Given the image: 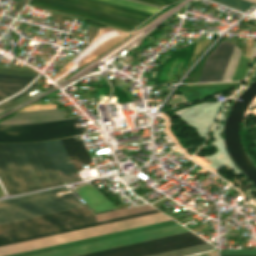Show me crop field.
Listing matches in <instances>:
<instances>
[{"label": "crop field", "mask_w": 256, "mask_h": 256, "mask_svg": "<svg viewBox=\"0 0 256 256\" xmlns=\"http://www.w3.org/2000/svg\"><path fill=\"white\" fill-rule=\"evenodd\" d=\"M209 256H215V252L209 253Z\"/></svg>", "instance_id": "34"}, {"label": "crop field", "mask_w": 256, "mask_h": 256, "mask_svg": "<svg viewBox=\"0 0 256 256\" xmlns=\"http://www.w3.org/2000/svg\"><path fill=\"white\" fill-rule=\"evenodd\" d=\"M149 210H154V208L152 206H150L149 204H146V205L136 206V207H132V208H127V209H122V210H117V211L97 215L96 218L98 221H100V220L125 216V215H129V214L149 211Z\"/></svg>", "instance_id": "19"}, {"label": "crop field", "mask_w": 256, "mask_h": 256, "mask_svg": "<svg viewBox=\"0 0 256 256\" xmlns=\"http://www.w3.org/2000/svg\"><path fill=\"white\" fill-rule=\"evenodd\" d=\"M27 0H21L18 5L15 7L14 11L19 12L23 5L26 3Z\"/></svg>", "instance_id": "31"}, {"label": "crop field", "mask_w": 256, "mask_h": 256, "mask_svg": "<svg viewBox=\"0 0 256 256\" xmlns=\"http://www.w3.org/2000/svg\"><path fill=\"white\" fill-rule=\"evenodd\" d=\"M107 1H111L114 3L130 6L133 8H137V9H141V10H145V11H149V12H153V13H155L159 10V8H155V7H151V6H147V5H143V4L127 1V0H107Z\"/></svg>", "instance_id": "22"}, {"label": "crop field", "mask_w": 256, "mask_h": 256, "mask_svg": "<svg viewBox=\"0 0 256 256\" xmlns=\"http://www.w3.org/2000/svg\"><path fill=\"white\" fill-rule=\"evenodd\" d=\"M201 243H205V241L197 236H194L190 238L180 239L176 241L166 242L162 244L152 245L148 247H143L106 256H145L149 254L159 253L163 251L173 250Z\"/></svg>", "instance_id": "10"}, {"label": "crop field", "mask_w": 256, "mask_h": 256, "mask_svg": "<svg viewBox=\"0 0 256 256\" xmlns=\"http://www.w3.org/2000/svg\"><path fill=\"white\" fill-rule=\"evenodd\" d=\"M170 220L161 212L0 247V256Z\"/></svg>", "instance_id": "3"}, {"label": "crop field", "mask_w": 256, "mask_h": 256, "mask_svg": "<svg viewBox=\"0 0 256 256\" xmlns=\"http://www.w3.org/2000/svg\"><path fill=\"white\" fill-rule=\"evenodd\" d=\"M256 254V250H220V255Z\"/></svg>", "instance_id": "24"}, {"label": "crop field", "mask_w": 256, "mask_h": 256, "mask_svg": "<svg viewBox=\"0 0 256 256\" xmlns=\"http://www.w3.org/2000/svg\"><path fill=\"white\" fill-rule=\"evenodd\" d=\"M183 232H188V230H186L183 226L176 224V225H171L167 227L157 228L153 230L124 235L120 237L91 242L87 244L77 245L73 247L63 248L59 250L44 252V253L30 255V256H74V255L98 251L102 249L160 238L164 236L179 234Z\"/></svg>", "instance_id": "6"}, {"label": "crop field", "mask_w": 256, "mask_h": 256, "mask_svg": "<svg viewBox=\"0 0 256 256\" xmlns=\"http://www.w3.org/2000/svg\"><path fill=\"white\" fill-rule=\"evenodd\" d=\"M189 236H194V234L191 232H188V233L164 237V238H160V239L145 241V242H141V243L126 245V246H122V247H117V248L102 250V251H98V252L83 254V255H79V256H100V255L110 254V253L124 251V250H128V249L138 248V247H142V246L171 241V240H175V239L185 238V237H189Z\"/></svg>", "instance_id": "17"}, {"label": "crop field", "mask_w": 256, "mask_h": 256, "mask_svg": "<svg viewBox=\"0 0 256 256\" xmlns=\"http://www.w3.org/2000/svg\"><path fill=\"white\" fill-rule=\"evenodd\" d=\"M154 212H158V211L154 210V211H149V212H145V213L130 215V216H126V217L111 219V220H107V221L92 223V224H88V225L73 227V228H69V229L59 230V231H55V232L40 234V235L31 236V237H27V238H22V239H18V240L8 241V242L0 243V246L12 244V243H17V242H21V241H26V240H30V239H35V238H39V237H44V236H48V235L58 234V233H62V232H67V231H71V230H76V229H80V228H85V227H89V226H94V225H98V224H103V223H107V222L126 219V218H130V217H135V216H140V215H144V214L154 213Z\"/></svg>", "instance_id": "18"}, {"label": "crop field", "mask_w": 256, "mask_h": 256, "mask_svg": "<svg viewBox=\"0 0 256 256\" xmlns=\"http://www.w3.org/2000/svg\"><path fill=\"white\" fill-rule=\"evenodd\" d=\"M240 53H241L240 49L235 45V48L233 50L232 56L230 58L228 67L226 69V72H225V75H224L222 81H230L231 80V77L233 75V72H234L235 66L237 64L238 58L240 56Z\"/></svg>", "instance_id": "21"}, {"label": "crop field", "mask_w": 256, "mask_h": 256, "mask_svg": "<svg viewBox=\"0 0 256 256\" xmlns=\"http://www.w3.org/2000/svg\"><path fill=\"white\" fill-rule=\"evenodd\" d=\"M210 249H214V247L208 243H205V244H201V245L191 246V247H187V248L168 251V252L159 253V254L150 255V256H183V255L206 251V250H210Z\"/></svg>", "instance_id": "20"}, {"label": "crop field", "mask_w": 256, "mask_h": 256, "mask_svg": "<svg viewBox=\"0 0 256 256\" xmlns=\"http://www.w3.org/2000/svg\"><path fill=\"white\" fill-rule=\"evenodd\" d=\"M234 45L221 41L207 56L197 82L221 81Z\"/></svg>", "instance_id": "7"}, {"label": "crop field", "mask_w": 256, "mask_h": 256, "mask_svg": "<svg viewBox=\"0 0 256 256\" xmlns=\"http://www.w3.org/2000/svg\"><path fill=\"white\" fill-rule=\"evenodd\" d=\"M4 196L3 192L0 189V197Z\"/></svg>", "instance_id": "35"}, {"label": "crop field", "mask_w": 256, "mask_h": 256, "mask_svg": "<svg viewBox=\"0 0 256 256\" xmlns=\"http://www.w3.org/2000/svg\"><path fill=\"white\" fill-rule=\"evenodd\" d=\"M211 1H214V2H217V3H220V4H223V5H225V6H228V7L234 8V9H237V10L242 11V12H245V11H246V9H243V8H240V7H237V6H234V5L225 3V2L220 1V0H211Z\"/></svg>", "instance_id": "30"}, {"label": "crop field", "mask_w": 256, "mask_h": 256, "mask_svg": "<svg viewBox=\"0 0 256 256\" xmlns=\"http://www.w3.org/2000/svg\"><path fill=\"white\" fill-rule=\"evenodd\" d=\"M171 224H176V222L173 221V220H170V221H166V222L156 223V224H152V225H147V226H143V227L133 228V229H129V230H124V231H120V232L110 233V234H106V235H101V236H97V237L87 238V239H83V240H78V241H74V242L64 243V244H60V245H55V246H51V247L41 248V249L32 250V251L23 252V253H18V254L9 255V256H26V255H30V254H35V253H40V252H44V251L54 250V249H58V248H63V247L77 245V244L87 243V242H91V241L106 239V238H110V237H115V236H120V235H124V234L134 233V232H138V231L153 229V228L167 226V225H171Z\"/></svg>", "instance_id": "11"}, {"label": "crop field", "mask_w": 256, "mask_h": 256, "mask_svg": "<svg viewBox=\"0 0 256 256\" xmlns=\"http://www.w3.org/2000/svg\"><path fill=\"white\" fill-rule=\"evenodd\" d=\"M0 167L14 194L62 184L42 142L0 144Z\"/></svg>", "instance_id": "1"}, {"label": "crop field", "mask_w": 256, "mask_h": 256, "mask_svg": "<svg viewBox=\"0 0 256 256\" xmlns=\"http://www.w3.org/2000/svg\"><path fill=\"white\" fill-rule=\"evenodd\" d=\"M33 78L0 74V100L18 92Z\"/></svg>", "instance_id": "14"}, {"label": "crop field", "mask_w": 256, "mask_h": 256, "mask_svg": "<svg viewBox=\"0 0 256 256\" xmlns=\"http://www.w3.org/2000/svg\"><path fill=\"white\" fill-rule=\"evenodd\" d=\"M94 1L102 2V3H106V4H110V5L126 8V9H130V10H134V11H138V12H142V13H146V14H150V15L153 14V13H149V12H145V11L129 8V7H126V6H122V5H118V4H114V3H110V2H106V1H102V0H94Z\"/></svg>", "instance_id": "28"}, {"label": "crop field", "mask_w": 256, "mask_h": 256, "mask_svg": "<svg viewBox=\"0 0 256 256\" xmlns=\"http://www.w3.org/2000/svg\"><path fill=\"white\" fill-rule=\"evenodd\" d=\"M14 1H17V2H19L20 0H14Z\"/></svg>", "instance_id": "36"}, {"label": "crop field", "mask_w": 256, "mask_h": 256, "mask_svg": "<svg viewBox=\"0 0 256 256\" xmlns=\"http://www.w3.org/2000/svg\"><path fill=\"white\" fill-rule=\"evenodd\" d=\"M36 87H38V85H37V83H36V81H35L28 89H26V90H25L24 92H22L21 94H19V95H17L16 97H14V98H12V99H10V100H8V101H6V102L0 104V109H5V108H7V107H9V106H11V105H13V104H15V103L12 101L13 99H15V98H17V97H19V96L25 94L26 92H28V91H30V90L36 88Z\"/></svg>", "instance_id": "25"}, {"label": "crop field", "mask_w": 256, "mask_h": 256, "mask_svg": "<svg viewBox=\"0 0 256 256\" xmlns=\"http://www.w3.org/2000/svg\"><path fill=\"white\" fill-rule=\"evenodd\" d=\"M0 73L21 75V76H37L39 74L34 70L8 69V68H1V67H0Z\"/></svg>", "instance_id": "23"}, {"label": "crop field", "mask_w": 256, "mask_h": 256, "mask_svg": "<svg viewBox=\"0 0 256 256\" xmlns=\"http://www.w3.org/2000/svg\"><path fill=\"white\" fill-rule=\"evenodd\" d=\"M41 1H45V2H48V3L60 5V6H63V7L75 9V10H78V11L90 13V14H93V15L105 17V18H108V19L120 21V22H123V23L135 25V26L139 25L142 22V21H138V20L118 16V15H115V14H111V13L91 9V8H88V7H84V6L64 2V1H61V0H41Z\"/></svg>", "instance_id": "13"}, {"label": "crop field", "mask_w": 256, "mask_h": 256, "mask_svg": "<svg viewBox=\"0 0 256 256\" xmlns=\"http://www.w3.org/2000/svg\"><path fill=\"white\" fill-rule=\"evenodd\" d=\"M223 1H226L228 3L234 4V5L246 8V9H248L250 6L253 5V3H250V2H247L244 0H223Z\"/></svg>", "instance_id": "26"}, {"label": "crop field", "mask_w": 256, "mask_h": 256, "mask_svg": "<svg viewBox=\"0 0 256 256\" xmlns=\"http://www.w3.org/2000/svg\"><path fill=\"white\" fill-rule=\"evenodd\" d=\"M43 144L52 162L54 163L63 183L80 179L61 140L43 142Z\"/></svg>", "instance_id": "8"}, {"label": "crop field", "mask_w": 256, "mask_h": 256, "mask_svg": "<svg viewBox=\"0 0 256 256\" xmlns=\"http://www.w3.org/2000/svg\"><path fill=\"white\" fill-rule=\"evenodd\" d=\"M86 121L87 119L78 121L76 118L40 124L0 126V142L38 141L73 136L86 132L82 126L75 125Z\"/></svg>", "instance_id": "5"}, {"label": "crop field", "mask_w": 256, "mask_h": 256, "mask_svg": "<svg viewBox=\"0 0 256 256\" xmlns=\"http://www.w3.org/2000/svg\"><path fill=\"white\" fill-rule=\"evenodd\" d=\"M253 56H256V42H255V46H254V53Z\"/></svg>", "instance_id": "32"}, {"label": "crop field", "mask_w": 256, "mask_h": 256, "mask_svg": "<svg viewBox=\"0 0 256 256\" xmlns=\"http://www.w3.org/2000/svg\"><path fill=\"white\" fill-rule=\"evenodd\" d=\"M64 1L72 2V3L84 5V6H88V7H91V8H95V9L115 13V14H118V15L130 17V18H134V19H138V20H142V21H144L148 17H150V15H146V14H142V13H138V12H134V11H130V10H126V9H122V8H118V7H114V6H110V5L90 1V0H64Z\"/></svg>", "instance_id": "15"}, {"label": "crop field", "mask_w": 256, "mask_h": 256, "mask_svg": "<svg viewBox=\"0 0 256 256\" xmlns=\"http://www.w3.org/2000/svg\"><path fill=\"white\" fill-rule=\"evenodd\" d=\"M0 178H1V180H2V182H3V184H4V186H5V188H6L7 192H8V194H13V192H12V190H11V188H10V186H9V184H8V182H7V180H6V178L4 177V175H3L2 171H1V169H0Z\"/></svg>", "instance_id": "29"}, {"label": "crop field", "mask_w": 256, "mask_h": 256, "mask_svg": "<svg viewBox=\"0 0 256 256\" xmlns=\"http://www.w3.org/2000/svg\"><path fill=\"white\" fill-rule=\"evenodd\" d=\"M0 111H2V110H0Z\"/></svg>", "instance_id": "37"}, {"label": "crop field", "mask_w": 256, "mask_h": 256, "mask_svg": "<svg viewBox=\"0 0 256 256\" xmlns=\"http://www.w3.org/2000/svg\"><path fill=\"white\" fill-rule=\"evenodd\" d=\"M63 115H68V113L66 111L57 112V109L17 112L16 115L0 123V125H15L65 120Z\"/></svg>", "instance_id": "9"}, {"label": "crop field", "mask_w": 256, "mask_h": 256, "mask_svg": "<svg viewBox=\"0 0 256 256\" xmlns=\"http://www.w3.org/2000/svg\"><path fill=\"white\" fill-rule=\"evenodd\" d=\"M76 169H82L80 164L92 161L82 140L75 141L74 137L62 140Z\"/></svg>", "instance_id": "12"}, {"label": "crop field", "mask_w": 256, "mask_h": 256, "mask_svg": "<svg viewBox=\"0 0 256 256\" xmlns=\"http://www.w3.org/2000/svg\"><path fill=\"white\" fill-rule=\"evenodd\" d=\"M86 208L59 212L0 225V242L95 222Z\"/></svg>", "instance_id": "4"}, {"label": "crop field", "mask_w": 256, "mask_h": 256, "mask_svg": "<svg viewBox=\"0 0 256 256\" xmlns=\"http://www.w3.org/2000/svg\"><path fill=\"white\" fill-rule=\"evenodd\" d=\"M142 1L150 2V3L162 5V6H165L174 2L173 0H142Z\"/></svg>", "instance_id": "27"}, {"label": "crop field", "mask_w": 256, "mask_h": 256, "mask_svg": "<svg viewBox=\"0 0 256 256\" xmlns=\"http://www.w3.org/2000/svg\"><path fill=\"white\" fill-rule=\"evenodd\" d=\"M29 4H33V5H37V6H41V7H45V8H49V9H53V10H56V11H60V12H64V13H68V14H72V15H76V16H80V17H83V18H87V19L103 22V23H106V24H110V25H114V26L130 29V30L135 28V26L123 24V23H120V22L108 20V19H105V18L93 16V15H90V14L78 12V11H75V10L63 8V7H60V6L48 4V3L37 1V0H30Z\"/></svg>", "instance_id": "16"}, {"label": "crop field", "mask_w": 256, "mask_h": 256, "mask_svg": "<svg viewBox=\"0 0 256 256\" xmlns=\"http://www.w3.org/2000/svg\"><path fill=\"white\" fill-rule=\"evenodd\" d=\"M131 1H134V0H131ZM135 2H138V1H135ZM139 3H142V2H139ZM143 4H146V3H143ZM147 5H150V4H147ZM151 6H154V5H151ZM155 7H158V6H155ZM159 8H162V7H159Z\"/></svg>", "instance_id": "33"}, {"label": "crop field", "mask_w": 256, "mask_h": 256, "mask_svg": "<svg viewBox=\"0 0 256 256\" xmlns=\"http://www.w3.org/2000/svg\"><path fill=\"white\" fill-rule=\"evenodd\" d=\"M63 190L67 188L0 201V224L84 206L72 193L57 197L55 192Z\"/></svg>", "instance_id": "2"}]
</instances>
